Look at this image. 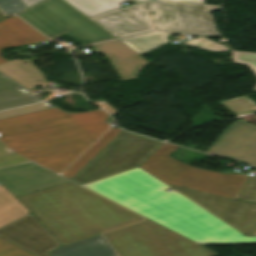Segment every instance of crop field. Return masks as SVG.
Masks as SVG:
<instances>
[{
    "mask_svg": "<svg viewBox=\"0 0 256 256\" xmlns=\"http://www.w3.org/2000/svg\"><path fill=\"white\" fill-rule=\"evenodd\" d=\"M0 236L37 256H49L60 242L31 214L0 229Z\"/></svg>",
    "mask_w": 256,
    "mask_h": 256,
    "instance_id": "11",
    "label": "crop field"
},
{
    "mask_svg": "<svg viewBox=\"0 0 256 256\" xmlns=\"http://www.w3.org/2000/svg\"><path fill=\"white\" fill-rule=\"evenodd\" d=\"M3 147L5 145L0 142V167L28 161L14 153L9 154Z\"/></svg>",
    "mask_w": 256,
    "mask_h": 256,
    "instance_id": "27",
    "label": "crop field"
},
{
    "mask_svg": "<svg viewBox=\"0 0 256 256\" xmlns=\"http://www.w3.org/2000/svg\"><path fill=\"white\" fill-rule=\"evenodd\" d=\"M90 18L116 38L153 30L147 13L137 4Z\"/></svg>",
    "mask_w": 256,
    "mask_h": 256,
    "instance_id": "13",
    "label": "crop field"
},
{
    "mask_svg": "<svg viewBox=\"0 0 256 256\" xmlns=\"http://www.w3.org/2000/svg\"><path fill=\"white\" fill-rule=\"evenodd\" d=\"M5 19V17L0 13V20Z\"/></svg>",
    "mask_w": 256,
    "mask_h": 256,
    "instance_id": "32",
    "label": "crop field"
},
{
    "mask_svg": "<svg viewBox=\"0 0 256 256\" xmlns=\"http://www.w3.org/2000/svg\"><path fill=\"white\" fill-rule=\"evenodd\" d=\"M232 55L235 62L249 65L250 68L253 70V72L256 74V54L240 52V51H232ZM254 92H256V88Z\"/></svg>",
    "mask_w": 256,
    "mask_h": 256,
    "instance_id": "25",
    "label": "crop field"
},
{
    "mask_svg": "<svg viewBox=\"0 0 256 256\" xmlns=\"http://www.w3.org/2000/svg\"><path fill=\"white\" fill-rule=\"evenodd\" d=\"M121 129L116 128L112 132H107L84 154H82L63 174L62 176L71 179L88 161H90Z\"/></svg>",
    "mask_w": 256,
    "mask_h": 256,
    "instance_id": "20",
    "label": "crop field"
},
{
    "mask_svg": "<svg viewBox=\"0 0 256 256\" xmlns=\"http://www.w3.org/2000/svg\"><path fill=\"white\" fill-rule=\"evenodd\" d=\"M177 148L164 143L140 167L166 183L236 198L246 174L218 173L182 164L168 157Z\"/></svg>",
    "mask_w": 256,
    "mask_h": 256,
    "instance_id": "5",
    "label": "crop field"
},
{
    "mask_svg": "<svg viewBox=\"0 0 256 256\" xmlns=\"http://www.w3.org/2000/svg\"><path fill=\"white\" fill-rule=\"evenodd\" d=\"M18 199L63 244L143 219L72 182Z\"/></svg>",
    "mask_w": 256,
    "mask_h": 256,
    "instance_id": "3",
    "label": "crop field"
},
{
    "mask_svg": "<svg viewBox=\"0 0 256 256\" xmlns=\"http://www.w3.org/2000/svg\"><path fill=\"white\" fill-rule=\"evenodd\" d=\"M51 256H116L101 235L60 247Z\"/></svg>",
    "mask_w": 256,
    "mask_h": 256,
    "instance_id": "16",
    "label": "crop field"
},
{
    "mask_svg": "<svg viewBox=\"0 0 256 256\" xmlns=\"http://www.w3.org/2000/svg\"><path fill=\"white\" fill-rule=\"evenodd\" d=\"M161 144L122 130L71 180L83 184L138 166Z\"/></svg>",
    "mask_w": 256,
    "mask_h": 256,
    "instance_id": "7",
    "label": "crop field"
},
{
    "mask_svg": "<svg viewBox=\"0 0 256 256\" xmlns=\"http://www.w3.org/2000/svg\"><path fill=\"white\" fill-rule=\"evenodd\" d=\"M27 64H23L22 60H13L0 65V72L27 87L35 88L46 83L41 72H39L29 60H25ZM39 80V82H36Z\"/></svg>",
    "mask_w": 256,
    "mask_h": 256,
    "instance_id": "17",
    "label": "crop field"
},
{
    "mask_svg": "<svg viewBox=\"0 0 256 256\" xmlns=\"http://www.w3.org/2000/svg\"><path fill=\"white\" fill-rule=\"evenodd\" d=\"M17 15L51 39L65 33L85 43L114 39L64 0H45Z\"/></svg>",
    "mask_w": 256,
    "mask_h": 256,
    "instance_id": "6",
    "label": "crop field"
},
{
    "mask_svg": "<svg viewBox=\"0 0 256 256\" xmlns=\"http://www.w3.org/2000/svg\"><path fill=\"white\" fill-rule=\"evenodd\" d=\"M105 234L120 256L218 255L148 219Z\"/></svg>",
    "mask_w": 256,
    "mask_h": 256,
    "instance_id": "4",
    "label": "crop field"
},
{
    "mask_svg": "<svg viewBox=\"0 0 256 256\" xmlns=\"http://www.w3.org/2000/svg\"><path fill=\"white\" fill-rule=\"evenodd\" d=\"M237 199L256 203V173L248 176Z\"/></svg>",
    "mask_w": 256,
    "mask_h": 256,
    "instance_id": "24",
    "label": "crop field"
},
{
    "mask_svg": "<svg viewBox=\"0 0 256 256\" xmlns=\"http://www.w3.org/2000/svg\"><path fill=\"white\" fill-rule=\"evenodd\" d=\"M151 15L156 30L196 34H217L210 12L219 6L205 3L145 1L140 3Z\"/></svg>",
    "mask_w": 256,
    "mask_h": 256,
    "instance_id": "8",
    "label": "crop field"
},
{
    "mask_svg": "<svg viewBox=\"0 0 256 256\" xmlns=\"http://www.w3.org/2000/svg\"><path fill=\"white\" fill-rule=\"evenodd\" d=\"M172 34L171 32H154L139 36L120 39L122 43L136 52L138 55H143L155 48H158L168 42L166 37Z\"/></svg>",
    "mask_w": 256,
    "mask_h": 256,
    "instance_id": "19",
    "label": "crop field"
},
{
    "mask_svg": "<svg viewBox=\"0 0 256 256\" xmlns=\"http://www.w3.org/2000/svg\"><path fill=\"white\" fill-rule=\"evenodd\" d=\"M48 108H49L48 105L41 103V104L27 106L23 108L14 109V110L4 111V112H0V119L21 115L25 113L35 112L39 110H44Z\"/></svg>",
    "mask_w": 256,
    "mask_h": 256,
    "instance_id": "26",
    "label": "crop field"
},
{
    "mask_svg": "<svg viewBox=\"0 0 256 256\" xmlns=\"http://www.w3.org/2000/svg\"><path fill=\"white\" fill-rule=\"evenodd\" d=\"M84 187L200 245L256 243L140 169Z\"/></svg>",
    "mask_w": 256,
    "mask_h": 256,
    "instance_id": "1",
    "label": "crop field"
},
{
    "mask_svg": "<svg viewBox=\"0 0 256 256\" xmlns=\"http://www.w3.org/2000/svg\"><path fill=\"white\" fill-rule=\"evenodd\" d=\"M0 9L5 14H15L25 7L19 0H0Z\"/></svg>",
    "mask_w": 256,
    "mask_h": 256,
    "instance_id": "29",
    "label": "crop field"
},
{
    "mask_svg": "<svg viewBox=\"0 0 256 256\" xmlns=\"http://www.w3.org/2000/svg\"><path fill=\"white\" fill-rule=\"evenodd\" d=\"M207 153L243 161L256 167V126L237 120L219 136Z\"/></svg>",
    "mask_w": 256,
    "mask_h": 256,
    "instance_id": "10",
    "label": "crop field"
},
{
    "mask_svg": "<svg viewBox=\"0 0 256 256\" xmlns=\"http://www.w3.org/2000/svg\"><path fill=\"white\" fill-rule=\"evenodd\" d=\"M93 46L107 55L122 80L137 78L144 65L149 63L118 40Z\"/></svg>",
    "mask_w": 256,
    "mask_h": 256,
    "instance_id": "14",
    "label": "crop field"
},
{
    "mask_svg": "<svg viewBox=\"0 0 256 256\" xmlns=\"http://www.w3.org/2000/svg\"><path fill=\"white\" fill-rule=\"evenodd\" d=\"M220 103H222L237 116L256 112V105L246 96L232 100L221 101Z\"/></svg>",
    "mask_w": 256,
    "mask_h": 256,
    "instance_id": "22",
    "label": "crop field"
},
{
    "mask_svg": "<svg viewBox=\"0 0 256 256\" xmlns=\"http://www.w3.org/2000/svg\"><path fill=\"white\" fill-rule=\"evenodd\" d=\"M17 88V84L0 75V109L39 101L33 95L24 94Z\"/></svg>",
    "mask_w": 256,
    "mask_h": 256,
    "instance_id": "18",
    "label": "crop field"
},
{
    "mask_svg": "<svg viewBox=\"0 0 256 256\" xmlns=\"http://www.w3.org/2000/svg\"><path fill=\"white\" fill-rule=\"evenodd\" d=\"M138 3L145 0H136ZM170 1H186V2H205V0H170Z\"/></svg>",
    "mask_w": 256,
    "mask_h": 256,
    "instance_id": "31",
    "label": "crop field"
},
{
    "mask_svg": "<svg viewBox=\"0 0 256 256\" xmlns=\"http://www.w3.org/2000/svg\"><path fill=\"white\" fill-rule=\"evenodd\" d=\"M79 11L90 17L120 7V3L129 0H66Z\"/></svg>",
    "mask_w": 256,
    "mask_h": 256,
    "instance_id": "21",
    "label": "crop field"
},
{
    "mask_svg": "<svg viewBox=\"0 0 256 256\" xmlns=\"http://www.w3.org/2000/svg\"><path fill=\"white\" fill-rule=\"evenodd\" d=\"M108 117L101 109L72 114L48 109L0 120V140L60 173L109 127Z\"/></svg>",
    "mask_w": 256,
    "mask_h": 256,
    "instance_id": "2",
    "label": "crop field"
},
{
    "mask_svg": "<svg viewBox=\"0 0 256 256\" xmlns=\"http://www.w3.org/2000/svg\"><path fill=\"white\" fill-rule=\"evenodd\" d=\"M0 182L15 196L68 182L34 163L0 169Z\"/></svg>",
    "mask_w": 256,
    "mask_h": 256,
    "instance_id": "12",
    "label": "crop field"
},
{
    "mask_svg": "<svg viewBox=\"0 0 256 256\" xmlns=\"http://www.w3.org/2000/svg\"><path fill=\"white\" fill-rule=\"evenodd\" d=\"M253 236H256V233Z\"/></svg>",
    "mask_w": 256,
    "mask_h": 256,
    "instance_id": "33",
    "label": "crop field"
},
{
    "mask_svg": "<svg viewBox=\"0 0 256 256\" xmlns=\"http://www.w3.org/2000/svg\"><path fill=\"white\" fill-rule=\"evenodd\" d=\"M27 7L41 1V0H21Z\"/></svg>",
    "mask_w": 256,
    "mask_h": 256,
    "instance_id": "30",
    "label": "crop field"
},
{
    "mask_svg": "<svg viewBox=\"0 0 256 256\" xmlns=\"http://www.w3.org/2000/svg\"><path fill=\"white\" fill-rule=\"evenodd\" d=\"M245 236L256 230V204L170 186Z\"/></svg>",
    "mask_w": 256,
    "mask_h": 256,
    "instance_id": "9",
    "label": "crop field"
},
{
    "mask_svg": "<svg viewBox=\"0 0 256 256\" xmlns=\"http://www.w3.org/2000/svg\"><path fill=\"white\" fill-rule=\"evenodd\" d=\"M205 37H212V36H198L197 39L185 41L184 44L191 45L194 47L206 49V50H212L217 52H224L228 51L229 49L226 48L224 45L213 42Z\"/></svg>",
    "mask_w": 256,
    "mask_h": 256,
    "instance_id": "23",
    "label": "crop field"
},
{
    "mask_svg": "<svg viewBox=\"0 0 256 256\" xmlns=\"http://www.w3.org/2000/svg\"><path fill=\"white\" fill-rule=\"evenodd\" d=\"M0 256H32L0 238Z\"/></svg>",
    "mask_w": 256,
    "mask_h": 256,
    "instance_id": "28",
    "label": "crop field"
},
{
    "mask_svg": "<svg viewBox=\"0 0 256 256\" xmlns=\"http://www.w3.org/2000/svg\"><path fill=\"white\" fill-rule=\"evenodd\" d=\"M20 20L13 16L0 22V64L8 62L1 57V51L5 47L27 44L34 49L49 41Z\"/></svg>",
    "mask_w": 256,
    "mask_h": 256,
    "instance_id": "15",
    "label": "crop field"
}]
</instances>
